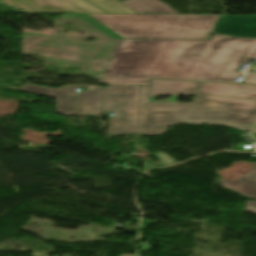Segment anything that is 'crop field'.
Segmentation results:
<instances>
[{
	"label": "crop field",
	"instance_id": "obj_15",
	"mask_svg": "<svg viewBox=\"0 0 256 256\" xmlns=\"http://www.w3.org/2000/svg\"><path fill=\"white\" fill-rule=\"evenodd\" d=\"M253 133H256V125H255V127H254Z\"/></svg>",
	"mask_w": 256,
	"mask_h": 256
},
{
	"label": "crop field",
	"instance_id": "obj_10",
	"mask_svg": "<svg viewBox=\"0 0 256 256\" xmlns=\"http://www.w3.org/2000/svg\"><path fill=\"white\" fill-rule=\"evenodd\" d=\"M122 3L138 13H179L159 0H128Z\"/></svg>",
	"mask_w": 256,
	"mask_h": 256
},
{
	"label": "crop field",
	"instance_id": "obj_7",
	"mask_svg": "<svg viewBox=\"0 0 256 256\" xmlns=\"http://www.w3.org/2000/svg\"><path fill=\"white\" fill-rule=\"evenodd\" d=\"M214 33L256 37V15H222Z\"/></svg>",
	"mask_w": 256,
	"mask_h": 256
},
{
	"label": "crop field",
	"instance_id": "obj_4",
	"mask_svg": "<svg viewBox=\"0 0 256 256\" xmlns=\"http://www.w3.org/2000/svg\"><path fill=\"white\" fill-rule=\"evenodd\" d=\"M140 86H107L103 110L116 113L110 118L109 133H137Z\"/></svg>",
	"mask_w": 256,
	"mask_h": 256
},
{
	"label": "crop field",
	"instance_id": "obj_11",
	"mask_svg": "<svg viewBox=\"0 0 256 256\" xmlns=\"http://www.w3.org/2000/svg\"><path fill=\"white\" fill-rule=\"evenodd\" d=\"M253 168V171L235 182L221 179L219 183L223 186L256 198V185H254L256 183V164L253 165Z\"/></svg>",
	"mask_w": 256,
	"mask_h": 256
},
{
	"label": "crop field",
	"instance_id": "obj_9",
	"mask_svg": "<svg viewBox=\"0 0 256 256\" xmlns=\"http://www.w3.org/2000/svg\"><path fill=\"white\" fill-rule=\"evenodd\" d=\"M201 82L152 80L150 96L196 94Z\"/></svg>",
	"mask_w": 256,
	"mask_h": 256
},
{
	"label": "crop field",
	"instance_id": "obj_5",
	"mask_svg": "<svg viewBox=\"0 0 256 256\" xmlns=\"http://www.w3.org/2000/svg\"><path fill=\"white\" fill-rule=\"evenodd\" d=\"M82 85H65L58 89H50L36 85H22L21 90L56 98V112L63 115L76 116L77 94L73 89ZM103 88L87 86L80 95L79 114L102 113Z\"/></svg>",
	"mask_w": 256,
	"mask_h": 256
},
{
	"label": "crop field",
	"instance_id": "obj_6",
	"mask_svg": "<svg viewBox=\"0 0 256 256\" xmlns=\"http://www.w3.org/2000/svg\"><path fill=\"white\" fill-rule=\"evenodd\" d=\"M29 13H106L84 0H4Z\"/></svg>",
	"mask_w": 256,
	"mask_h": 256
},
{
	"label": "crop field",
	"instance_id": "obj_2",
	"mask_svg": "<svg viewBox=\"0 0 256 256\" xmlns=\"http://www.w3.org/2000/svg\"><path fill=\"white\" fill-rule=\"evenodd\" d=\"M150 86H141L138 131L145 135L164 133L177 123L224 125L251 130L256 101L195 96L193 102H149Z\"/></svg>",
	"mask_w": 256,
	"mask_h": 256
},
{
	"label": "crop field",
	"instance_id": "obj_14",
	"mask_svg": "<svg viewBox=\"0 0 256 256\" xmlns=\"http://www.w3.org/2000/svg\"><path fill=\"white\" fill-rule=\"evenodd\" d=\"M242 83H256V74H248Z\"/></svg>",
	"mask_w": 256,
	"mask_h": 256
},
{
	"label": "crop field",
	"instance_id": "obj_1",
	"mask_svg": "<svg viewBox=\"0 0 256 256\" xmlns=\"http://www.w3.org/2000/svg\"><path fill=\"white\" fill-rule=\"evenodd\" d=\"M256 60V39L214 34L211 40L124 39L100 82L149 84L150 77L233 81Z\"/></svg>",
	"mask_w": 256,
	"mask_h": 256
},
{
	"label": "crop field",
	"instance_id": "obj_3",
	"mask_svg": "<svg viewBox=\"0 0 256 256\" xmlns=\"http://www.w3.org/2000/svg\"><path fill=\"white\" fill-rule=\"evenodd\" d=\"M111 39H208L219 15L76 14Z\"/></svg>",
	"mask_w": 256,
	"mask_h": 256
},
{
	"label": "crop field",
	"instance_id": "obj_12",
	"mask_svg": "<svg viewBox=\"0 0 256 256\" xmlns=\"http://www.w3.org/2000/svg\"><path fill=\"white\" fill-rule=\"evenodd\" d=\"M108 13H136L117 0H86Z\"/></svg>",
	"mask_w": 256,
	"mask_h": 256
},
{
	"label": "crop field",
	"instance_id": "obj_8",
	"mask_svg": "<svg viewBox=\"0 0 256 256\" xmlns=\"http://www.w3.org/2000/svg\"><path fill=\"white\" fill-rule=\"evenodd\" d=\"M197 94L244 97L256 99V85L202 82Z\"/></svg>",
	"mask_w": 256,
	"mask_h": 256
},
{
	"label": "crop field",
	"instance_id": "obj_13",
	"mask_svg": "<svg viewBox=\"0 0 256 256\" xmlns=\"http://www.w3.org/2000/svg\"><path fill=\"white\" fill-rule=\"evenodd\" d=\"M244 211L256 214V201H245Z\"/></svg>",
	"mask_w": 256,
	"mask_h": 256
}]
</instances>
